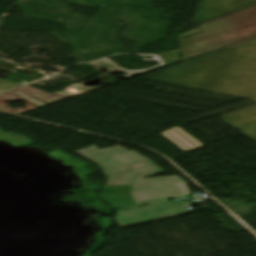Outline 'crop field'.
I'll use <instances>...</instances> for the list:
<instances>
[{"label": "crop field", "mask_w": 256, "mask_h": 256, "mask_svg": "<svg viewBox=\"0 0 256 256\" xmlns=\"http://www.w3.org/2000/svg\"><path fill=\"white\" fill-rule=\"evenodd\" d=\"M0 86H1V87L9 88V87H12V86H16V84H12V83H7V82H2V81H0Z\"/></svg>", "instance_id": "f4fd0767"}, {"label": "crop field", "mask_w": 256, "mask_h": 256, "mask_svg": "<svg viewBox=\"0 0 256 256\" xmlns=\"http://www.w3.org/2000/svg\"><path fill=\"white\" fill-rule=\"evenodd\" d=\"M9 100H25L26 101V108L8 110V112L20 114V113L41 107L49 103L63 100V99L60 97L50 95L46 92H43L41 90H38L36 88H33L27 85L17 90L0 94V105L6 106L4 104V101H9ZM6 109L8 108L0 106V110L5 111Z\"/></svg>", "instance_id": "412701ff"}, {"label": "crop field", "mask_w": 256, "mask_h": 256, "mask_svg": "<svg viewBox=\"0 0 256 256\" xmlns=\"http://www.w3.org/2000/svg\"><path fill=\"white\" fill-rule=\"evenodd\" d=\"M191 206L188 202L182 200L164 203L160 205L138 208L115 215L119 227H129L133 225L148 223L166 218L190 214L185 207Z\"/></svg>", "instance_id": "34b2d1b8"}, {"label": "crop field", "mask_w": 256, "mask_h": 256, "mask_svg": "<svg viewBox=\"0 0 256 256\" xmlns=\"http://www.w3.org/2000/svg\"><path fill=\"white\" fill-rule=\"evenodd\" d=\"M120 146L103 150L92 146L74 152L96 163L107 179L144 178L163 173L150 159Z\"/></svg>", "instance_id": "8a807250"}, {"label": "crop field", "mask_w": 256, "mask_h": 256, "mask_svg": "<svg viewBox=\"0 0 256 256\" xmlns=\"http://www.w3.org/2000/svg\"><path fill=\"white\" fill-rule=\"evenodd\" d=\"M131 184L130 192L136 205L165 202L167 198L190 195L186 182L175 176L132 179L107 180L105 186ZM192 195V194H191Z\"/></svg>", "instance_id": "ac0d7876"}, {"label": "crop field", "mask_w": 256, "mask_h": 256, "mask_svg": "<svg viewBox=\"0 0 256 256\" xmlns=\"http://www.w3.org/2000/svg\"><path fill=\"white\" fill-rule=\"evenodd\" d=\"M3 89H6V88H1V87H0V90H3Z\"/></svg>", "instance_id": "dd49c442"}, {"label": "crop field", "mask_w": 256, "mask_h": 256, "mask_svg": "<svg viewBox=\"0 0 256 256\" xmlns=\"http://www.w3.org/2000/svg\"><path fill=\"white\" fill-rule=\"evenodd\" d=\"M0 80H2V79H0ZM2 81H6V80H2ZM7 82H9V81H7Z\"/></svg>", "instance_id": "e52e79f7"}]
</instances>
